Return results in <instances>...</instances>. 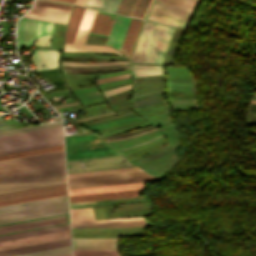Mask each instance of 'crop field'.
Masks as SVG:
<instances>
[{
	"label": "crop field",
	"mask_w": 256,
	"mask_h": 256,
	"mask_svg": "<svg viewBox=\"0 0 256 256\" xmlns=\"http://www.w3.org/2000/svg\"><path fill=\"white\" fill-rule=\"evenodd\" d=\"M63 183V150L0 161V194Z\"/></svg>",
	"instance_id": "crop-field-1"
},
{
	"label": "crop field",
	"mask_w": 256,
	"mask_h": 256,
	"mask_svg": "<svg viewBox=\"0 0 256 256\" xmlns=\"http://www.w3.org/2000/svg\"><path fill=\"white\" fill-rule=\"evenodd\" d=\"M72 7L37 0L18 23V48H30L34 37L51 35L52 22L66 24Z\"/></svg>",
	"instance_id": "crop-field-2"
},
{
	"label": "crop field",
	"mask_w": 256,
	"mask_h": 256,
	"mask_svg": "<svg viewBox=\"0 0 256 256\" xmlns=\"http://www.w3.org/2000/svg\"><path fill=\"white\" fill-rule=\"evenodd\" d=\"M63 144L62 126L0 137V154Z\"/></svg>",
	"instance_id": "crop-field-3"
},
{
	"label": "crop field",
	"mask_w": 256,
	"mask_h": 256,
	"mask_svg": "<svg viewBox=\"0 0 256 256\" xmlns=\"http://www.w3.org/2000/svg\"><path fill=\"white\" fill-rule=\"evenodd\" d=\"M67 160L120 154L93 134L65 137Z\"/></svg>",
	"instance_id": "crop-field-4"
},
{
	"label": "crop field",
	"mask_w": 256,
	"mask_h": 256,
	"mask_svg": "<svg viewBox=\"0 0 256 256\" xmlns=\"http://www.w3.org/2000/svg\"><path fill=\"white\" fill-rule=\"evenodd\" d=\"M158 178L152 177L143 171L128 172L110 175H100L82 178L68 179L69 189L83 188L92 186H102L111 184H121L130 182L148 181L153 182Z\"/></svg>",
	"instance_id": "crop-field-5"
},
{
	"label": "crop field",
	"mask_w": 256,
	"mask_h": 256,
	"mask_svg": "<svg viewBox=\"0 0 256 256\" xmlns=\"http://www.w3.org/2000/svg\"><path fill=\"white\" fill-rule=\"evenodd\" d=\"M71 219H95L92 208L70 210ZM72 226H138V218L113 220H71ZM144 217H139V227L146 226Z\"/></svg>",
	"instance_id": "crop-field-6"
},
{
	"label": "crop field",
	"mask_w": 256,
	"mask_h": 256,
	"mask_svg": "<svg viewBox=\"0 0 256 256\" xmlns=\"http://www.w3.org/2000/svg\"><path fill=\"white\" fill-rule=\"evenodd\" d=\"M174 28L155 25L142 63L161 64Z\"/></svg>",
	"instance_id": "crop-field-7"
},
{
	"label": "crop field",
	"mask_w": 256,
	"mask_h": 256,
	"mask_svg": "<svg viewBox=\"0 0 256 256\" xmlns=\"http://www.w3.org/2000/svg\"><path fill=\"white\" fill-rule=\"evenodd\" d=\"M68 213L67 203L0 214V224L60 215Z\"/></svg>",
	"instance_id": "crop-field-8"
},
{
	"label": "crop field",
	"mask_w": 256,
	"mask_h": 256,
	"mask_svg": "<svg viewBox=\"0 0 256 256\" xmlns=\"http://www.w3.org/2000/svg\"><path fill=\"white\" fill-rule=\"evenodd\" d=\"M70 238L69 229L0 241V250Z\"/></svg>",
	"instance_id": "crop-field-9"
},
{
	"label": "crop field",
	"mask_w": 256,
	"mask_h": 256,
	"mask_svg": "<svg viewBox=\"0 0 256 256\" xmlns=\"http://www.w3.org/2000/svg\"><path fill=\"white\" fill-rule=\"evenodd\" d=\"M193 11V8L155 0L149 12L188 21Z\"/></svg>",
	"instance_id": "crop-field-10"
},
{
	"label": "crop field",
	"mask_w": 256,
	"mask_h": 256,
	"mask_svg": "<svg viewBox=\"0 0 256 256\" xmlns=\"http://www.w3.org/2000/svg\"><path fill=\"white\" fill-rule=\"evenodd\" d=\"M59 51L35 49L32 59L36 70L52 69L58 67Z\"/></svg>",
	"instance_id": "crop-field-11"
},
{
	"label": "crop field",
	"mask_w": 256,
	"mask_h": 256,
	"mask_svg": "<svg viewBox=\"0 0 256 256\" xmlns=\"http://www.w3.org/2000/svg\"><path fill=\"white\" fill-rule=\"evenodd\" d=\"M117 238L73 239V250L116 249Z\"/></svg>",
	"instance_id": "crop-field-12"
},
{
	"label": "crop field",
	"mask_w": 256,
	"mask_h": 256,
	"mask_svg": "<svg viewBox=\"0 0 256 256\" xmlns=\"http://www.w3.org/2000/svg\"><path fill=\"white\" fill-rule=\"evenodd\" d=\"M130 18L116 16L115 22L113 24L110 36L108 38L107 44L120 50L124 36L126 34L128 25L130 23Z\"/></svg>",
	"instance_id": "crop-field-13"
},
{
	"label": "crop field",
	"mask_w": 256,
	"mask_h": 256,
	"mask_svg": "<svg viewBox=\"0 0 256 256\" xmlns=\"http://www.w3.org/2000/svg\"><path fill=\"white\" fill-rule=\"evenodd\" d=\"M67 202V195L0 207V213Z\"/></svg>",
	"instance_id": "crop-field-14"
},
{
	"label": "crop field",
	"mask_w": 256,
	"mask_h": 256,
	"mask_svg": "<svg viewBox=\"0 0 256 256\" xmlns=\"http://www.w3.org/2000/svg\"><path fill=\"white\" fill-rule=\"evenodd\" d=\"M145 188L144 182L69 190V196Z\"/></svg>",
	"instance_id": "crop-field-15"
},
{
	"label": "crop field",
	"mask_w": 256,
	"mask_h": 256,
	"mask_svg": "<svg viewBox=\"0 0 256 256\" xmlns=\"http://www.w3.org/2000/svg\"><path fill=\"white\" fill-rule=\"evenodd\" d=\"M154 25L155 24L153 23H144L134 54L131 59V63L142 62Z\"/></svg>",
	"instance_id": "crop-field-16"
},
{
	"label": "crop field",
	"mask_w": 256,
	"mask_h": 256,
	"mask_svg": "<svg viewBox=\"0 0 256 256\" xmlns=\"http://www.w3.org/2000/svg\"><path fill=\"white\" fill-rule=\"evenodd\" d=\"M142 190L144 189L93 194V195H83V196H73V197H69V200H70V203H74V202H82V201H90V200H104V199L134 197V196H138V192Z\"/></svg>",
	"instance_id": "crop-field-17"
},
{
	"label": "crop field",
	"mask_w": 256,
	"mask_h": 256,
	"mask_svg": "<svg viewBox=\"0 0 256 256\" xmlns=\"http://www.w3.org/2000/svg\"><path fill=\"white\" fill-rule=\"evenodd\" d=\"M68 245H70V239L51 242V243H45V244H39V245H34V246L22 247V248H17V249L0 251V256H8V255H14V254H20V253H26V252H32V251H38V250H44V249H50V248L68 246Z\"/></svg>",
	"instance_id": "crop-field-18"
},
{
	"label": "crop field",
	"mask_w": 256,
	"mask_h": 256,
	"mask_svg": "<svg viewBox=\"0 0 256 256\" xmlns=\"http://www.w3.org/2000/svg\"><path fill=\"white\" fill-rule=\"evenodd\" d=\"M64 190H66V184L0 195V201L34 196V195H40V194H46V193H52V192H58V191H64Z\"/></svg>",
	"instance_id": "crop-field-19"
},
{
	"label": "crop field",
	"mask_w": 256,
	"mask_h": 256,
	"mask_svg": "<svg viewBox=\"0 0 256 256\" xmlns=\"http://www.w3.org/2000/svg\"><path fill=\"white\" fill-rule=\"evenodd\" d=\"M141 22L142 21H140V20H134V19L131 20V23L129 25L127 34L125 36L123 45H122L121 50H120L127 57L130 56V53H131V50L133 48V45H134L138 30L140 28Z\"/></svg>",
	"instance_id": "crop-field-20"
},
{
	"label": "crop field",
	"mask_w": 256,
	"mask_h": 256,
	"mask_svg": "<svg viewBox=\"0 0 256 256\" xmlns=\"http://www.w3.org/2000/svg\"><path fill=\"white\" fill-rule=\"evenodd\" d=\"M84 9L85 8L83 7H74L69 23L67 25L66 42H74Z\"/></svg>",
	"instance_id": "crop-field-21"
},
{
	"label": "crop field",
	"mask_w": 256,
	"mask_h": 256,
	"mask_svg": "<svg viewBox=\"0 0 256 256\" xmlns=\"http://www.w3.org/2000/svg\"><path fill=\"white\" fill-rule=\"evenodd\" d=\"M95 10H91V9H85L76 39L74 43H84L85 39L87 37L89 28L91 26L93 17L95 15Z\"/></svg>",
	"instance_id": "crop-field-22"
},
{
	"label": "crop field",
	"mask_w": 256,
	"mask_h": 256,
	"mask_svg": "<svg viewBox=\"0 0 256 256\" xmlns=\"http://www.w3.org/2000/svg\"><path fill=\"white\" fill-rule=\"evenodd\" d=\"M109 15L97 13L89 32L108 35L114 21Z\"/></svg>",
	"instance_id": "crop-field-23"
},
{
	"label": "crop field",
	"mask_w": 256,
	"mask_h": 256,
	"mask_svg": "<svg viewBox=\"0 0 256 256\" xmlns=\"http://www.w3.org/2000/svg\"><path fill=\"white\" fill-rule=\"evenodd\" d=\"M64 221H66V216L58 217V218H52V219H46V220H41V221H35V222H29V223H24V224L6 226V227H1L0 228V233L1 232H6V231L29 228V227L41 226V225H46V224L64 222Z\"/></svg>",
	"instance_id": "crop-field-24"
},
{
	"label": "crop field",
	"mask_w": 256,
	"mask_h": 256,
	"mask_svg": "<svg viewBox=\"0 0 256 256\" xmlns=\"http://www.w3.org/2000/svg\"><path fill=\"white\" fill-rule=\"evenodd\" d=\"M134 77L163 74L161 66L130 65Z\"/></svg>",
	"instance_id": "crop-field-25"
},
{
	"label": "crop field",
	"mask_w": 256,
	"mask_h": 256,
	"mask_svg": "<svg viewBox=\"0 0 256 256\" xmlns=\"http://www.w3.org/2000/svg\"><path fill=\"white\" fill-rule=\"evenodd\" d=\"M65 50L90 51V52H111V53L122 54L108 46H99V45L65 44Z\"/></svg>",
	"instance_id": "crop-field-26"
},
{
	"label": "crop field",
	"mask_w": 256,
	"mask_h": 256,
	"mask_svg": "<svg viewBox=\"0 0 256 256\" xmlns=\"http://www.w3.org/2000/svg\"><path fill=\"white\" fill-rule=\"evenodd\" d=\"M67 228H69V224L50 227V228H44V229H38V230H33V231L15 233V234H10V235H4V236H0V240L21 237V236H27V235H33V234L44 233V232H50V231L61 230V229H67Z\"/></svg>",
	"instance_id": "crop-field-27"
},
{
	"label": "crop field",
	"mask_w": 256,
	"mask_h": 256,
	"mask_svg": "<svg viewBox=\"0 0 256 256\" xmlns=\"http://www.w3.org/2000/svg\"><path fill=\"white\" fill-rule=\"evenodd\" d=\"M68 253H71L70 246L32 252V253H26V254H20V255H14V256H56V255H62V254H68Z\"/></svg>",
	"instance_id": "crop-field-28"
},
{
	"label": "crop field",
	"mask_w": 256,
	"mask_h": 256,
	"mask_svg": "<svg viewBox=\"0 0 256 256\" xmlns=\"http://www.w3.org/2000/svg\"><path fill=\"white\" fill-rule=\"evenodd\" d=\"M138 170H140V169H138L137 167H132V168H122V169H112V170L72 173V174H68V178L82 177V176H91V175H100V174H110V173H119V172H128V171H138Z\"/></svg>",
	"instance_id": "crop-field-29"
},
{
	"label": "crop field",
	"mask_w": 256,
	"mask_h": 256,
	"mask_svg": "<svg viewBox=\"0 0 256 256\" xmlns=\"http://www.w3.org/2000/svg\"><path fill=\"white\" fill-rule=\"evenodd\" d=\"M61 149H63V145L49 147V148H43V149H37V150H31V151H25V152H19V153H13V154H7V155H1L0 160L16 158V157H21V156H27V155H33V154L44 153V152L55 151V150H61Z\"/></svg>",
	"instance_id": "crop-field-30"
},
{
	"label": "crop field",
	"mask_w": 256,
	"mask_h": 256,
	"mask_svg": "<svg viewBox=\"0 0 256 256\" xmlns=\"http://www.w3.org/2000/svg\"><path fill=\"white\" fill-rule=\"evenodd\" d=\"M145 19L172 25V26L186 25L188 23L186 21L168 18L160 15L151 14V13H148Z\"/></svg>",
	"instance_id": "crop-field-31"
},
{
	"label": "crop field",
	"mask_w": 256,
	"mask_h": 256,
	"mask_svg": "<svg viewBox=\"0 0 256 256\" xmlns=\"http://www.w3.org/2000/svg\"><path fill=\"white\" fill-rule=\"evenodd\" d=\"M151 1L152 0H138L130 16L143 19Z\"/></svg>",
	"instance_id": "crop-field-32"
},
{
	"label": "crop field",
	"mask_w": 256,
	"mask_h": 256,
	"mask_svg": "<svg viewBox=\"0 0 256 256\" xmlns=\"http://www.w3.org/2000/svg\"><path fill=\"white\" fill-rule=\"evenodd\" d=\"M73 256H119L116 250L73 251Z\"/></svg>",
	"instance_id": "crop-field-33"
},
{
	"label": "crop field",
	"mask_w": 256,
	"mask_h": 256,
	"mask_svg": "<svg viewBox=\"0 0 256 256\" xmlns=\"http://www.w3.org/2000/svg\"><path fill=\"white\" fill-rule=\"evenodd\" d=\"M57 70V69H56ZM43 72V71H42ZM42 77H48V76H54V75H58L60 74V71H47V72H43V73H39ZM61 76V75H59ZM59 76H55V77H59ZM55 77H49V78H55ZM49 78H45V79H49ZM52 80H62V77L60 78H55V79H49L48 81H52ZM54 82V81H53ZM53 85H57V84H64L63 81L61 82H54L52 83ZM64 88H67L66 85H57L53 88H50L48 89L49 91H52V90H58V89H64ZM65 90H68V89H65ZM59 91H64V90H59ZM55 92V91H53Z\"/></svg>",
	"instance_id": "crop-field-34"
},
{
	"label": "crop field",
	"mask_w": 256,
	"mask_h": 256,
	"mask_svg": "<svg viewBox=\"0 0 256 256\" xmlns=\"http://www.w3.org/2000/svg\"><path fill=\"white\" fill-rule=\"evenodd\" d=\"M65 194H67L66 191L52 193V194H46V195H40V196H34V197H28V198H22V199H16V200H10V201H4V202H0V206L13 204V203H19V202H25V201H31V200H36V199L48 198V197H53V196L65 195Z\"/></svg>",
	"instance_id": "crop-field-35"
},
{
	"label": "crop field",
	"mask_w": 256,
	"mask_h": 256,
	"mask_svg": "<svg viewBox=\"0 0 256 256\" xmlns=\"http://www.w3.org/2000/svg\"><path fill=\"white\" fill-rule=\"evenodd\" d=\"M60 125H62V123L58 122V123H52V124H46V125L16 129V130H11V131H5V132H0V136L10 135V134H15V133H21V132H27V131H32V130H38V129H43V128H49V127H54V126H60Z\"/></svg>",
	"instance_id": "crop-field-36"
},
{
	"label": "crop field",
	"mask_w": 256,
	"mask_h": 256,
	"mask_svg": "<svg viewBox=\"0 0 256 256\" xmlns=\"http://www.w3.org/2000/svg\"><path fill=\"white\" fill-rule=\"evenodd\" d=\"M137 0H122L117 13H121L124 15H130L135 3Z\"/></svg>",
	"instance_id": "crop-field-37"
},
{
	"label": "crop field",
	"mask_w": 256,
	"mask_h": 256,
	"mask_svg": "<svg viewBox=\"0 0 256 256\" xmlns=\"http://www.w3.org/2000/svg\"><path fill=\"white\" fill-rule=\"evenodd\" d=\"M195 8L199 0H161Z\"/></svg>",
	"instance_id": "crop-field-38"
},
{
	"label": "crop field",
	"mask_w": 256,
	"mask_h": 256,
	"mask_svg": "<svg viewBox=\"0 0 256 256\" xmlns=\"http://www.w3.org/2000/svg\"><path fill=\"white\" fill-rule=\"evenodd\" d=\"M98 0H87L86 6L95 7ZM108 0H99L96 7L97 9L103 10Z\"/></svg>",
	"instance_id": "crop-field-39"
},
{
	"label": "crop field",
	"mask_w": 256,
	"mask_h": 256,
	"mask_svg": "<svg viewBox=\"0 0 256 256\" xmlns=\"http://www.w3.org/2000/svg\"><path fill=\"white\" fill-rule=\"evenodd\" d=\"M49 46H50V36L49 35L39 38L35 42V47L49 48Z\"/></svg>",
	"instance_id": "crop-field-40"
},
{
	"label": "crop field",
	"mask_w": 256,
	"mask_h": 256,
	"mask_svg": "<svg viewBox=\"0 0 256 256\" xmlns=\"http://www.w3.org/2000/svg\"><path fill=\"white\" fill-rule=\"evenodd\" d=\"M115 64H128V62H119V63H79V62H62V65H115Z\"/></svg>",
	"instance_id": "crop-field-41"
},
{
	"label": "crop field",
	"mask_w": 256,
	"mask_h": 256,
	"mask_svg": "<svg viewBox=\"0 0 256 256\" xmlns=\"http://www.w3.org/2000/svg\"><path fill=\"white\" fill-rule=\"evenodd\" d=\"M128 77H130L129 74L113 76V77H108V78H102V79L97 80V84L108 82V81H113V80H118V79H123V78H128Z\"/></svg>",
	"instance_id": "crop-field-42"
},
{
	"label": "crop field",
	"mask_w": 256,
	"mask_h": 256,
	"mask_svg": "<svg viewBox=\"0 0 256 256\" xmlns=\"http://www.w3.org/2000/svg\"><path fill=\"white\" fill-rule=\"evenodd\" d=\"M121 0H109L105 10L115 12Z\"/></svg>",
	"instance_id": "crop-field-43"
},
{
	"label": "crop field",
	"mask_w": 256,
	"mask_h": 256,
	"mask_svg": "<svg viewBox=\"0 0 256 256\" xmlns=\"http://www.w3.org/2000/svg\"><path fill=\"white\" fill-rule=\"evenodd\" d=\"M139 117H132V118H128V119H124V120H120V121H116V122H112V123H108V124H104V125H100V126H95V129L98 128H102V127H106V126H110V125H114V124H118V123H122V122H126V121H130V120H134V119H138ZM93 128V127H90Z\"/></svg>",
	"instance_id": "crop-field-44"
},
{
	"label": "crop field",
	"mask_w": 256,
	"mask_h": 256,
	"mask_svg": "<svg viewBox=\"0 0 256 256\" xmlns=\"http://www.w3.org/2000/svg\"><path fill=\"white\" fill-rule=\"evenodd\" d=\"M130 88H131V85L123 86V87H119V88L103 91V94H104V97H105V96L110 95L112 93H115V92H118V91H122V90H126V89H130Z\"/></svg>",
	"instance_id": "crop-field-45"
},
{
	"label": "crop field",
	"mask_w": 256,
	"mask_h": 256,
	"mask_svg": "<svg viewBox=\"0 0 256 256\" xmlns=\"http://www.w3.org/2000/svg\"><path fill=\"white\" fill-rule=\"evenodd\" d=\"M12 126L9 124L8 121H4L1 117H0V130H5V129H11Z\"/></svg>",
	"instance_id": "crop-field-46"
},
{
	"label": "crop field",
	"mask_w": 256,
	"mask_h": 256,
	"mask_svg": "<svg viewBox=\"0 0 256 256\" xmlns=\"http://www.w3.org/2000/svg\"><path fill=\"white\" fill-rule=\"evenodd\" d=\"M93 209L96 219H104L101 207H94Z\"/></svg>",
	"instance_id": "crop-field-47"
},
{
	"label": "crop field",
	"mask_w": 256,
	"mask_h": 256,
	"mask_svg": "<svg viewBox=\"0 0 256 256\" xmlns=\"http://www.w3.org/2000/svg\"><path fill=\"white\" fill-rule=\"evenodd\" d=\"M248 111L256 112V104L251 103Z\"/></svg>",
	"instance_id": "crop-field-48"
},
{
	"label": "crop field",
	"mask_w": 256,
	"mask_h": 256,
	"mask_svg": "<svg viewBox=\"0 0 256 256\" xmlns=\"http://www.w3.org/2000/svg\"><path fill=\"white\" fill-rule=\"evenodd\" d=\"M245 123L256 125V121L255 120L246 119Z\"/></svg>",
	"instance_id": "crop-field-49"
},
{
	"label": "crop field",
	"mask_w": 256,
	"mask_h": 256,
	"mask_svg": "<svg viewBox=\"0 0 256 256\" xmlns=\"http://www.w3.org/2000/svg\"><path fill=\"white\" fill-rule=\"evenodd\" d=\"M66 223V222H64ZM58 224H63V223H58ZM52 225H57V224H52ZM46 226H51V225H46ZM41 227H45V226H41ZM35 228H39V227H35ZM29 229H33V228H29ZM24 230H27V229H24ZM18 231H21V230H18ZM12 232H15V231H12ZM6 233H9V232H6ZM3 234V233H1Z\"/></svg>",
	"instance_id": "crop-field-50"
},
{
	"label": "crop field",
	"mask_w": 256,
	"mask_h": 256,
	"mask_svg": "<svg viewBox=\"0 0 256 256\" xmlns=\"http://www.w3.org/2000/svg\"><path fill=\"white\" fill-rule=\"evenodd\" d=\"M161 137H162V136H161ZM155 139H156V138H155ZM152 140H154V139L148 140V141H146V142H144V143H147V142L152 141ZM144 143H142V144H144ZM142 144H140V145H142ZM137 146H139V145H137ZM133 147H135V146H133ZM129 148H132V147H129ZM129 148H124V149H119V150L122 151V150L129 149Z\"/></svg>",
	"instance_id": "crop-field-51"
},
{
	"label": "crop field",
	"mask_w": 256,
	"mask_h": 256,
	"mask_svg": "<svg viewBox=\"0 0 256 256\" xmlns=\"http://www.w3.org/2000/svg\"><path fill=\"white\" fill-rule=\"evenodd\" d=\"M85 2H86V0H77V2L76 3H79V4H85Z\"/></svg>",
	"instance_id": "crop-field-52"
},
{
	"label": "crop field",
	"mask_w": 256,
	"mask_h": 256,
	"mask_svg": "<svg viewBox=\"0 0 256 256\" xmlns=\"http://www.w3.org/2000/svg\"><path fill=\"white\" fill-rule=\"evenodd\" d=\"M89 203H95V202L74 203V204H70V205H76V204H89Z\"/></svg>",
	"instance_id": "crop-field-53"
},
{
	"label": "crop field",
	"mask_w": 256,
	"mask_h": 256,
	"mask_svg": "<svg viewBox=\"0 0 256 256\" xmlns=\"http://www.w3.org/2000/svg\"><path fill=\"white\" fill-rule=\"evenodd\" d=\"M58 1H64V2L74 3L75 0H58Z\"/></svg>",
	"instance_id": "crop-field-54"
},
{
	"label": "crop field",
	"mask_w": 256,
	"mask_h": 256,
	"mask_svg": "<svg viewBox=\"0 0 256 256\" xmlns=\"http://www.w3.org/2000/svg\"><path fill=\"white\" fill-rule=\"evenodd\" d=\"M250 130V132H252V133H256V131L255 130H251V129H249Z\"/></svg>",
	"instance_id": "crop-field-55"
},
{
	"label": "crop field",
	"mask_w": 256,
	"mask_h": 256,
	"mask_svg": "<svg viewBox=\"0 0 256 256\" xmlns=\"http://www.w3.org/2000/svg\"><path fill=\"white\" fill-rule=\"evenodd\" d=\"M63 256H71V254H69V255H63Z\"/></svg>",
	"instance_id": "crop-field-56"
},
{
	"label": "crop field",
	"mask_w": 256,
	"mask_h": 256,
	"mask_svg": "<svg viewBox=\"0 0 256 256\" xmlns=\"http://www.w3.org/2000/svg\"><path fill=\"white\" fill-rule=\"evenodd\" d=\"M254 99H256L255 97H253Z\"/></svg>",
	"instance_id": "crop-field-57"
}]
</instances>
